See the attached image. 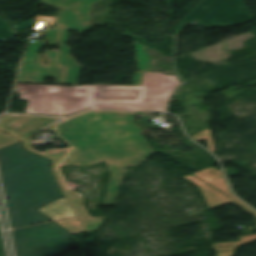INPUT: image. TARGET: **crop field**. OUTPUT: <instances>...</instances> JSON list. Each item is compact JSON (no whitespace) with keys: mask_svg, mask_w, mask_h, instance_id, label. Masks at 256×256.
Wrapping results in <instances>:
<instances>
[{"mask_svg":"<svg viewBox=\"0 0 256 256\" xmlns=\"http://www.w3.org/2000/svg\"><path fill=\"white\" fill-rule=\"evenodd\" d=\"M134 118L135 113L87 111L45 129L53 131L70 147L77 149L69 153L60 149L42 153L33 150L30 136L57 121V118L6 114L0 119V129L21 139L27 150L54 162L53 172L65 196L87 232H91L97 230L104 218L89 216L82 204L83 198L68 188L60 166L93 165L105 161L112 177L104 206L115 205L124 168L138 165L154 152L140 134L142 128L132 123ZM13 120L21 122L22 127L15 130L8 126Z\"/></svg>","mask_w":256,"mask_h":256,"instance_id":"crop-field-1","label":"crop field"},{"mask_svg":"<svg viewBox=\"0 0 256 256\" xmlns=\"http://www.w3.org/2000/svg\"><path fill=\"white\" fill-rule=\"evenodd\" d=\"M99 1L101 0H41L42 4L64 8L52 29L47 30L57 17L37 16L32 28V32H40L45 28L47 30L45 36L49 39L47 46H54L58 42L59 30L62 26L59 44L61 54L58 59L60 67L56 62L59 51L51 50L38 55L40 47L45 42L36 40L35 43H28L26 46L17 82L44 83L45 77H51L56 78L57 84H62L64 66L67 68L64 84L76 85L82 66L77 65L75 59L71 58L70 48L66 46L68 32L69 30L89 32L93 25L88 22L91 18L89 11L92 4Z\"/></svg>","mask_w":256,"mask_h":256,"instance_id":"crop-field-2","label":"crop field"},{"mask_svg":"<svg viewBox=\"0 0 256 256\" xmlns=\"http://www.w3.org/2000/svg\"><path fill=\"white\" fill-rule=\"evenodd\" d=\"M49 161L27 152L21 142L0 148V175L12 228L49 221L34 209L58 197Z\"/></svg>","mask_w":256,"mask_h":256,"instance_id":"crop-field-3","label":"crop field"},{"mask_svg":"<svg viewBox=\"0 0 256 256\" xmlns=\"http://www.w3.org/2000/svg\"><path fill=\"white\" fill-rule=\"evenodd\" d=\"M72 87L24 84L20 99L29 100L25 113L65 115L89 105L93 86L86 97H74Z\"/></svg>","mask_w":256,"mask_h":256,"instance_id":"crop-field-4","label":"crop field"},{"mask_svg":"<svg viewBox=\"0 0 256 256\" xmlns=\"http://www.w3.org/2000/svg\"><path fill=\"white\" fill-rule=\"evenodd\" d=\"M68 234L54 223L12 232L17 256H57L58 251L71 250Z\"/></svg>","mask_w":256,"mask_h":256,"instance_id":"crop-field-5","label":"crop field"},{"mask_svg":"<svg viewBox=\"0 0 256 256\" xmlns=\"http://www.w3.org/2000/svg\"><path fill=\"white\" fill-rule=\"evenodd\" d=\"M251 16L242 0H202L180 23L173 33L176 36L184 23L198 21L196 26L212 28L215 25H235ZM195 25V24H192Z\"/></svg>","mask_w":256,"mask_h":256,"instance_id":"crop-field-6","label":"crop field"},{"mask_svg":"<svg viewBox=\"0 0 256 256\" xmlns=\"http://www.w3.org/2000/svg\"><path fill=\"white\" fill-rule=\"evenodd\" d=\"M142 85L146 86V92L141 103L108 102L97 108L164 112L167 99L173 90L181 84L176 76L144 73Z\"/></svg>","mask_w":256,"mask_h":256,"instance_id":"crop-field-7","label":"crop field"},{"mask_svg":"<svg viewBox=\"0 0 256 256\" xmlns=\"http://www.w3.org/2000/svg\"><path fill=\"white\" fill-rule=\"evenodd\" d=\"M38 210H40L53 221L77 217V215L70 207L66 197Z\"/></svg>","mask_w":256,"mask_h":256,"instance_id":"crop-field-8","label":"crop field"},{"mask_svg":"<svg viewBox=\"0 0 256 256\" xmlns=\"http://www.w3.org/2000/svg\"><path fill=\"white\" fill-rule=\"evenodd\" d=\"M134 44L139 67V72L134 75V85H139L141 82L142 71H152V68L146 46L136 41H134Z\"/></svg>","mask_w":256,"mask_h":256,"instance_id":"crop-field-9","label":"crop field"},{"mask_svg":"<svg viewBox=\"0 0 256 256\" xmlns=\"http://www.w3.org/2000/svg\"><path fill=\"white\" fill-rule=\"evenodd\" d=\"M142 97L92 96L89 107H97L108 101L140 102Z\"/></svg>","mask_w":256,"mask_h":256,"instance_id":"crop-field-10","label":"crop field"},{"mask_svg":"<svg viewBox=\"0 0 256 256\" xmlns=\"http://www.w3.org/2000/svg\"><path fill=\"white\" fill-rule=\"evenodd\" d=\"M56 223L62 226L67 231H69L70 233H72L73 235L86 232L79 219L72 218L68 220L56 221Z\"/></svg>","mask_w":256,"mask_h":256,"instance_id":"crop-field-11","label":"crop field"},{"mask_svg":"<svg viewBox=\"0 0 256 256\" xmlns=\"http://www.w3.org/2000/svg\"><path fill=\"white\" fill-rule=\"evenodd\" d=\"M93 91L144 92L142 86H94Z\"/></svg>","mask_w":256,"mask_h":256,"instance_id":"crop-field-12","label":"crop field"},{"mask_svg":"<svg viewBox=\"0 0 256 256\" xmlns=\"http://www.w3.org/2000/svg\"><path fill=\"white\" fill-rule=\"evenodd\" d=\"M15 36V33L8 27L5 21L0 16V41L12 38Z\"/></svg>","mask_w":256,"mask_h":256,"instance_id":"crop-field-13","label":"crop field"},{"mask_svg":"<svg viewBox=\"0 0 256 256\" xmlns=\"http://www.w3.org/2000/svg\"><path fill=\"white\" fill-rule=\"evenodd\" d=\"M16 141L19 140H17L16 138L7 133L0 132V147L14 143Z\"/></svg>","mask_w":256,"mask_h":256,"instance_id":"crop-field-14","label":"crop field"},{"mask_svg":"<svg viewBox=\"0 0 256 256\" xmlns=\"http://www.w3.org/2000/svg\"><path fill=\"white\" fill-rule=\"evenodd\" d=\"M144 93L93 92L92 95L143 96Z\"/></svg>","mask_w":256,"mask_h":256,"instance_id":"crop-field-15","label":"crop field"},{"mask_svg":"<svg viewBox=\"0 0 256 256\" xmlns=\"http://www.w3.org/2000/svg\"><path fill=\"white\" fill-rule=\"evenodd\" d=\"M32 24H33V18H31L19 25L14 26V28L17 30V32H19V31L31 26Z\"/></svg>","mask_w":256,"mask_h":256,"instance_id":"crop-field-16","label":"crop field"},{"mask_svg":"<svg viewBox=\"0 0 256 256\" xmlns=\"http://www.w3.org/2000/svg\"><path fill=\"white\" fill-rule=\"evenodd\" d=\"M9 125L15 129L21 127V123H19L18 121H14V122L10 123Z\"/></svg>","mask_w":256,"mask_h":256,"instance_id":"crop-field-17","label":"crop field"},{"mask_svg":"<svg viewBox=\"0 0 256 256\" xmlns=\"http://www.w3.org/2000/svg\"><path fill=\"white\" fill-rule=\"evenodd\" d=\"M22 86H23V84H17L14 91L20 93L21 89H22Z\"/></svg>","mask_w":256,"mask_h":256,"instance_id":"crop-field-18","label":"crop field"},{"mask_svg":"<svg viewBox=\"0 0 256 256\" xmlns=\"http://www.w3.org/2000/svg\"><path fill=\"white\" fill-rule=\"evenodd\" d=\"M74 91H77V90H86V86H77V87H73Z\"/></svg>","mask_w":256,"mask_h":256,"instance_id":"crop-field-19","label":"crop field"},{"mask_svg":"<svg viewBox=\"0 0 256 256\" xmlns=\"http://www.w3.org/2000/svg\"><path fill=\"white\" fill-rule=\"evenodd\" d=\"M75 96H86V91H77Z\"/></svg>","mask_w":256,"mask_h":256,"instance_id":"crop-field-20","label":"crop field"},{"mask_svg":"<svg viewBox=\"0 0 256 256\" xmlns=\"http://www.w3.org/2000/svg\"><path fill=\"white\" fill-rule=\"evenodd\" d=\"M62 150L66 151V152H69V151H72V150H75V149H72V148H66V149H62Z\"/></svg>","mask_w":256,"mask_h":256,"instance_id":"crop-field-21","label":"crop field"}]
</instances>
